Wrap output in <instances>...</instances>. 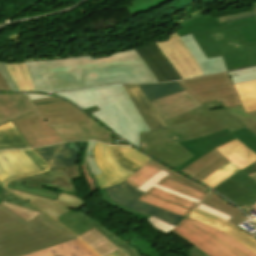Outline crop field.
Returning <instances> with one entry per match:
<instances>
[{"label":"crop field","mask_w":256,"mask_h":256,"mask_svg":"<svg viewBox=\"0 0 256 256\" xmlns=\"http://www.w3.org/2000/svg\"><path fill=\"white\" fill-rule=\"evenodd\" d=\"M35 91L70 90L111 83L157 82L134 50L109 58L90 56L61 60L25 62Z\"/></svg>","instance_id":"1"},{"label":"crop field","mask_w":256,"mask_h":256,"mask_svg":"<svg viewBox=\"0 0 256 256\" xmlns=\"http://www.w3.org/2000/svg\"><path fill=\"white\" fill-rule=\"evenodd\" d=\"M203 105L179 117L164 121L169 129L141 133L140 150L175 168L193 157L177 142L198 138L226 127L231 132L244 127L242 122L225 109L214 112L208 110L222 105L221 102L215 101Z\"/></svg>","instance_id":"2"},{"label":"crop field","mask_w":256,"mask_h":256,"mask_svg":"<svg viewBox=\"0 0 256 256\" xmlns=\"http://www.w3.org/2000/svg\"><path fill=\"white\" fill-rule=\"evenodd\" d=\"M256 25V17L220 24L212 15L184 23L179 37L193 34L207 58L222 55L227 70L256 65V42L245 44L238 27Z\"/></svg>","instance_id":"3"},{"label":"crop field","mask_w":256,"mask_h":256,"mask_svg":"<svg viewBox=\"0 0 256 256\" xmlns=\"http://www.w3.org/2000/svg\"><path fill=\"white\" fill-rule=\"evenodd\" d=\"M56 94L73 101L81 108L97 105L101 111L91 115L135 147L138 146L139 131L148 130L122 85L86 88Z\"/></svg>","instance_id":"4"},{"label":"crop field","mask_w":256,"mask_h":256,"mask_svg":"<svg viewBox=\"0 0 256 256\" xmlns=\"http://www.w3.org/2000/svg\"><path fill=\"white\" fill-rule=\"evenodd\" d=\"M73 237L43 213L28 223L0 205V256H21Z\"/></svg>","instance_id":"5"},{"label":"crop field","mask_w":256,"mask_h":256,"mask_svg":"<svg viewBox=\"0 0 256 256\" xmlns=\"http://www.w3.org/2000/svg\"><path fill=\"white\" fill-rule=\"evenodd\" d=\"M35 108L36 112L12 121L31 147L63 142L48 123L90 121V117L67 102Z\"/></svg>","instance_id":"6"},{"label":"crop field","mask_w":256,"mask_h":256,"mask_svg":"<svg viewBox=\"0 0 256 256\" xmlns=\"http://www.w3.org/2000/svg\"><path fill=\"white\" fill-rule=\"evenodd\" d=\"M171 232L210 256H256V253L221 230L186 217Z\"/></svg>","instance_id":"7"},{"label":"crop field","mask_w":256,"mask_h":256,"mask_svg":"<svg viewBox=\"0 0 256 256\" xmlns=\"http://www.w3.org/2000/svg\"><path fill=\"white\" fill-rule=\"evenodd\" d=\"M179 83L201 103L218 100L222 101L225 108L241 104L228 73L203 76Z\"/></svg>","instance_id":"8"},{"label":"crop field","mask_w":256,"mask_h":256,"mask_svg":"<svg viewBox=\"0 0 256 256\" xmlns=\"http://www.w3.org/2000/svg\"><path fill=\"white\" fill-rule=\"evenodd\" d=\"M80 177L82 175L78 166H74L13 180L8 182L6 187L57 200L61 193L25 186L23 183L39 184L77 195L78 191L73 186L72 179Z\"/></svg>","instance_id":"9"},{"label":"crop field","mask_w":256,"mask_h":256,"mask_svg":"<svg viewBox=\"0 0 256 256\" xmlns=\"http://www.w3.org/2000/svg\"><path fill=\"white\" fill-rule=\"evenodd\" d=\"M236 137L256 153V137L246 127L233 133H231L229 129L226 128L199 139L179 142V144L182 145L194 157L178 166L176 169L180 171L183 170L188 165L209 152L211 149L225 144Z\"/></svg>","instance_id":"10"},{"label":"crop field","mask_w":256,"mask_h":256,"mask_svg":"<svg viewBox=\"0 0 256 256\" xmlns=\"http://www.w3.org/2000/svg\"><path fill=\"white\" fill-rule=\"evenodd\" d=\"M240 207L256 209V162L214 187Z\"/></svg>","instance_id":"11"},{"label":"crop field","mask_w":256,"mask_h":256,"mask_svg":"<svg viewBox=\"0 0 256 256\" xmlns=\"http://www.w3.org/2000/svg\"><path fill=\"white\" fill-rule=\"evenodd\" d=\"M132 186V185H131ZM126 181L106 189L114 200L138 211L151 214L165 222L177 225L184 217L137 200L143 193L131 187Z\"/></svg>","instance_id":"12"},{"label":"crop field","mask_w":256,"mask_h":256,"mask_svg":"<svg viewBox=\"0 0 256 256\" xmlns=\"http://www.w3.org/2000/svg\"><path fill=\"white\" fill-rule=\"evenodd\" d=\"M55 220L60 222L62 225L70 229L78 236L94 227L129 256L140 255L133 247L124 242L122 239H120L117 235L104 227L98 221L77 210L71 209L69 212L62 214L59 218Z\"/></svg>","instance_id":"13"},{"label":"crop field","mask_w":256,"mask_h":256,"mask_svg":"<svg viewBox=\"0 0 256 256\" xmlns=\"http://www.w3.org/2000/svg\"><path fill=\"white\" fill-rule=\"evenodd\" d=\"M93 155L98 167L103 172L94 176L100 189L115 185L133 175L118 164L114 157L113 146L96 142Z\"/></svg>","instance_id":"14"},{"label":"crop field","mask_w":256,"mask_h":256,"mask_svg":"<svg viewBox=\"0 0 256 256\" xmlns=\"http://www.w3.org/2000/svg\"><path fill=\"white\" fill-rule=\"evenodd\" d=\"M156 44L173 64L182 79L203 75L197 62L176 33L171 35L168 41L156 42Z\"/></svg>","instance_id":"15"},{"label":"crop field","mask_w":256,"mask_h":256,"mask_svg":"<svg viewBox=\"0 0 256 256\" xmlns=\"http://www.w3.org/2000/svg\"><path fill=\"white\" fill-rule=\"evenodd\" d=\"M66 141L93 139L111 144V135L106 129L91 119V122L50 124Z\"/></svg>","instance_id":"16"},{"label":"crop field","mask_w":256,"mask_h":256,"mask_svg":"<svg viewBox=\"0 0 256 256\" xmlns=\"http://www.w3.org/2000/svg\"><path fill=\"white\" fill-rule=\"evenodd\" d=\"M39 172L21 150L0 151V180L3 184L10 179Z\"/></svg>","instance_id":"17"},{"label":"crop field","mask_w":256,"mask_h":256,"mask_svg":"<svg viewBox=\"0 0 256 256\" xmlns=\"http://www.w3.org/2000/svg\"><path fill=\"white\" fill-rule=\"evenodd\" d=\"M150 103L163 121L202 106L198 100L186 91Z\"/></svg>","instance_id":"18"},{"label":"crop field","mask_w":256,"mask_h":256,"mask_svg":"<svg viewBox=\"0 0 256 256\" xmlns=\"http://www.w3.org/2000/svg\"><path fill=\"white\" fill-rule=\"evenodd\" d=\"M11 191L17 196L33 203L54 219L59 217L62 213L70 210L71 208L79 210V208L84 203L83 200L77 198V196L68 193L61 194L58 200L54 201L27 193H22L14 190Z\"/></svg>","instance_id":"19"},{"label":"crop field","mask_w":256,"mask_h":256,"mask_svg":"<svg viewBox=\"0 0 256 256\" xmlns=\"http://www.w3.org/2000/svg\"><path fill=\"white\" fill-rule=\"evenodd\" d=\"M150 67L158 82L180 80L172 64L163 55L155 43L135 50Z\"/></svg>","instance_id":"20"},{"label":"crop field","mask_w":256,"mask_h":256,"mask_svg":"<svg viewBox=\"0 0 256 256\" xmlns=\"http://www.w3.org/2000/svg\"><path fill=\"white\" fill-rule=\"evenodd\" d=\"M33 111L24 93L0 94V125Z\"/></svg>","instance_id":"21"},{"label":"crop field","mask_w":256,"mask_h":256,"mask_svg":"<svg viewBox=\"0 0 256 256\" xmlns=\"http://www.w3.org/2000/svg\"><path fill=\"white\" fill-rule=\"evenodd\" d=\"M33 150L45 160L50 170L76 165L78 156L81 155L70 149L66 143Z\"/></svg>","instance_id":"22"},{"label":"crop field","mask_w":256,"mask_h":256,"mask_svg":"<svg viewBox=\"0 0 256 256\" xmlns=\"http://www.w3.org/2000/svg\"><path fill=\"white\" fill-rule=\"evenodd\" d=\"M128 96L142 117L149 130L165 128L166 125L137 88L136 85H123Z\"/></svg>","instance_id":"23"},{"label":"crop field","mask_w":256,"mask_h":256,"mask_svg":"<svg viewBox=\"0 0 256 256\" xmlns=\"http://www.w3.org/2000/svg\"><path fill=\"white\" fill-rule=\"evenodd\" d=\"M24 256H99L78 237Z\"/></svg>","instance_id":"24"},{"label":"crop field","mask_w":256,"mask_h":256,"mask_svg":"<svg viewBox=\"0 0 256 256\" xmlns=\"http://www.w3.org/2000/svg\"><path fill=\"white\" fill-rule=\"evenodd\" d=\"M181 40L198 62L204 75L227 71L222 57L207 59L192 35L182 37Z\"/></svg>","instance_id":"25"},{"label":"crop field","mask_w":256,"mask_h":256,"mask_svg":"<svg viewBox=\"0 0 256 256\" xmlns=\"http://www.w3.org/2000/svg\"><path fill=\"white\" fill-rule=\"evenodd\" d=\"M2 196L4 201L2 205L28 222L38 216L40 213H42L23 199L15 196L10 191L6 190L5 188L3 190Z\"/></svg>","instance_id":"26"},{"label":"crop field","mask_w":256,"mask_h":256,"mask_svg":"<svg viewBox=\"0 0 256 256\" xmlns=\"http://www.w3.org/2000/svg\"><path fill=\"white\" fill-rule=\"evenodd\" d=\"M220 153H222L225 157L221 160L217 161L215 164H213L208 169L204 170L201 174H199L197 177L193 178L195 180H202L209 176L211 173L219 169L221 166L229 162L226 158L231 156L232 154L236 152H241L242 154L250 151L249 148H247L241 141H239L237 138L225 145H222L218 148H216Z\"/></svg>","instance_id":"27"},{"label":"crop field","mask_w":256,"mask_h":256,"mask_svg":"<svg viewBox=\"0 0 256 256\" xmlns=\"http://www.w3.org/2000/svg\"><path fill=\"white\" fill-rule=\"evenodd\" d=\"M30 148L12 122L0 126V150Z\"/></svg>","instance_id":"28"},{"label":"crop field","mask_w":256,"mask_h":256,"mask_svg":"<svg viewBox=\"0 0 256 256\" xmlns=\"http://www.w3.org/2000/svg\"><path fill=\"white\" fill-rule=\"evenodd\" d=\"M148 101L184 91L178 82L137 85Z\"/></svg>","instance_id":"29"},{"label":"crop field","mask_w":256,"mask_h":256,"mask_svg":"<svg viewBox=\"0 0 256 256\" xmlns=\"http://www.w3.org/2000/svg\"><path fill=\"white\" fill-rule=\"evenodd\" d=\"M203 203L233 216L234 218L228 222L232 223L235 226L247 220V218L239 210H237L229 201L225 200L224 198L218 196L213 192H210L207 195V197L203 200Z\"/></svg>","instance_id":"30"},{"label":"crop field","mask_w":256,"mask_h":256,"mask_svg":"<svg viewBox=\"0 0 256 256\" xmlns=\"http://www.w3.org/2000/svg\"><path fill=\"white\" fill-rule=\"evenodd\" d=\"M79 237L101 256H106L116 250H119V248H117L94 228Z\"/></svg>","instance_id":"31"},{"label":"crop field","mask_w":256,"mask_h":256,"mask_svg":"<svg viewBox=\"0 0 256 256\" xmlns=\"http://www.w3.org/2000/svg\"><path fill=\"white\" fill-rule=\"evenodd\" d=\"M192 212L231 227L232 229L226 233L256 252V240L252 239L251 237H249L248 235L243 233L241 230H239L235 226L231 225L230 223H228L216 216H213V215L203 212L201 210L195 209Z\"/></svg>","instance_id":"32"},{"label":"crop field","mask_w":256,"mask_h":256,"mask_svg":"<svg viewBox=\"0 0 256 256\" xmlns=\"http://www.w3.org/2000/svg\"><path fill=\"white\" fill-rule=\"evenodd\" d=\"M247 112L256 110V81L234 85Z\"/></svg>","instance_id":"33"},{"label":"crop field","mask_w":256,"mask_h":256,"mask_svg":"<svg viewBox=\"0 0 256 256\" xmlns=\"http://www.w3.org/2000/svg\"><path fill=\"white\" fill-rule=\"evenodd\" d=\"M222 157V154L213 149L181 172L193 178Z\"/></svg>","instance_id":"34"},{"label":"crop field","mask_w":256,"mask_h":256,"mask_svg":"<svg viewBox=\"0 0 256 256\" xmlns=\"http://www.w3.org/2000/svg\"><path fill=\"white\" fill-rule=\"evenodd\" d=\"M19 91H33L32 83L24 63L7 64Z\"/></svg>","instance_id":"35"},{"label":"crop field","mask_w":256,"mask_h":256,"mask_svg":"<svg viewBox=\"0 0 256 256\" xmlns=\"http://www.w3.org/2000/svg\"><path fill=\"white\" fill-rule=\"evenodd\" d=\"M167 174V172H165L164 170H160L159 172H157L155 175H153L151 178H149L146 182H144L142 185H140L137 189L142 191V192H146L149 188H151L152 186L156 187V188H159L161 190H164V191H167L169 193H172V194H175V195H178V196H181L183 198H186V199H189L197 204L200 203V200H197V199H194L192 197H189V196H186V195H183L181 193H178L176 191H173L171 189H168L166 187H163L161 185H158L156 184L158 181H160L161 179H163ZM188 200V201H189Z\"/></svg>","instance_id":"36"},{"label":"crop field","mask_w":256,"mask_h":256,"mask_svg":"<svg viewBox=\"0 0 256 256\" xmlns=\"http://www.w3.org/2000/svg\"><path fill=\"white\" fill-rule=\"evenodd\" d=\"M226 110L241 120L245 126L256 136V111L246 113L242 105L228 108Z\"/></svg>","instance_id":"37"},{"label":"crop field","mask_w":256,"mask_h":256,"mask_svg":"<svg viewBox=\"0 0 256 256\" xmlns=\"http://www.w3.org/2000/svg\"><path fill=\"white\" fill-rule=\"evenodd\" d=\"M139 200H142L144 202H147L152 205L158 206L160 208L166 209L168 211L174 212L176 214L182 215L184 217L190 212V210H188V209L182 208V207L172 204L170 202H167L162 199L152 197V196H149L146 194H144L142 197H140Z\"/></svg>","instance_id":"38"},{"label":"crop field","mask_w":256,"mask_h":256,"mask_svg":"<svg viewBox=\"0 0 256 256\" xmlns=\"http://www.w3.org/2000/svg\"><path fill=\"white\" fill-rule=\"evenodd\" d=\"M158 170H160V168H158L150 163H147L141 170H139L137 173H135L132 177H130L126 181L130 185H132L134 188H137L140 184H142L144 181H146L149 177H151Z\"/></svg>","instance_id":"39"},{"label":"crop field","mask_w":256,"mask_h":256,"mask_svg":"<svg viewBox=\"0 0 256 256\" xmlns=\"http://www.w3.org/2000/svg\"><path fill=\"white\" fill-rule=\"evenodd\" d=\"M147 193L155 195V196L160 197V198H163L165 200H168L170 202H173L175 204H178V205L183 206L185 208H188L190 210H193L197 206V204H195L191 201H188V200L183 199L181 197H178V196L169 194L167 192L161 191V190L156 189L154 187H152L150 190H148Z\"/></svg>","instance_id":"40"},{"label":"crop field","mask_w":256,"mask_h":256,"mask_svg":"<svg viewBox=\"0 0 256 256\" xmlns=\"http://www.w3.org/2000/svg\"><path fill=\"white\" fill-rule=\"evenodd\" d=\"M158 184H161L163 186H166L168 188H171L173 190H176L178 192H181V193H184L186 195H189V196H192V197H195L197 199H204L206 195L200 193V192H197L189 187H186L178 182H175L167 177H165L163 180H161L160 182H158Z\"/></svg>","instance_id":"41"},{"label":"crop field","mask_w":256,"mask_h":256,"mask_svg":"<svg viewBox=\"0 0 256 256\" xmlns=\"http://www.w3.org/2000/svg\"><path fill=\"white\" fill-rule=\"evenodd\" d=\"M169 0H134L130 2L132 5L126 7L132 16L153 8L161 3ZM162 5V4H161Z\"/></svg>","instance_id":"42"},{"label":"crop field","mask_w":256,"mask_h":256,"mask_svg":"<svg viewBox=\"0 0 256 256\" xmlns=\"http://www.w3.org/2000/svg\"><path fill=\"white\" fill-rule=\"evenodd\" d=\"M87 143H88V146H87L86 152L84 154L83 162H84L85 167H86V169H87V171H88V173L91 177L93 175L101 173V171L96 166L95 161H94L93 156H92V151H93L95 141H87Z\"/></svg>","instance_id":"43"},{"label":"crop field","mask_w":256,"mask_h":256,"mask_svg":"<svg viewBox=\"0 0 256 256\" xmlns=\"http://www.w3.org/2000/svg\"><path fill=\"white\" fill-rule=\"evenodd\" d=\"M228 73L234 84L256 80V67L244 70L231 71Z\"/></svg>","instance_id":"44"},{"label":"crop field","mask_w":256,"mask_h":256,"mask_svg":"<svg viewBox=\"0 0 256 256\" xmlns=\"http://www.w3.org/2000/svg\"><path fill=\"white\" fill-rule=\"evenodd\" d=\"M235 165H237L241 170L256 161V154L252 151L242 155L239 152L234 154L233 156L227 158Z\"/></svg>","instance_id":"45"},{"label":"crop field","mask_w":256,"mask_h":256,"mask_svg":"<svg viewBox=\"0 0 256 256\" xmlns=\"http://www.w3.org/2000/svg\"><path fill=\"white\" fill-rule=\"evenodd\" d=\"M114 151H115V157L118 160L119 164L123 166L125 169L130 171L131 173L137 172L140 168L139 165L131 162L126 158V156L123 155L122 153V146H114Z\"/></svg>","instance_id":"46"},{"label":"crop field","mask_w":256,"mask_h":256,"mask_svg":"<svg viewBox=\"0 0 256 256\" xmlns=\"http://www.w3.org/2000/svg\"><path fill=\"white\" fill-rule=\"evenodd\" d=\"M123 153L127 156L128 159L139 164L142 167L147 162L152 160V159L148 158L147 156L143 155L142 153L138 152L137 150L130 148V147L123 146Z\"/></svg>","instance_id":"47"},{"label":"crop field","mask_w":256,"mask_h":256,"mask_svg":"<svg viewBox=\"0 0 256 256\" xmlns=\"http://www.w3.org/2000/svg\"><path fill=\"white\" fill-rule=\"evenodd\" d=\"M235 167H237V166H235L233 163L230 162V163L224 165L222 168H220L216 172H214L212 175H210L206 179L202 180L201 182L209 186L212 183H214L216 180H218L219 178H221L222 176H224L225 174L230 172Z\"/></svg>","instance_id":"48"},{"label":"crop field","mask_w":256,"mask_h":256,"mask_svg":"<svg viewBox=\"0 0 256 256\" xmlns=\"http://www.w3.org/2000/svg\"><path fill=\"white\" fill-rule=\"evenodd\" d=\"M99 193H100V197H101V199H102L103 201H105V202L108 203V204L115 205V206L119 207L120 209H122V210H124V211H126V212H128V213H130V214H132L133 216H135L137 213H139V214H143V215H146V216L151 217V215H147V214H144V213L135 211V210H133V209H130V208H128V207H126V206L120 204V203H117V202L113 201V200L106 194L105 190H100Z\"/></svg>","instance_id":"49"},{"label":"crop field","mask_w":256,"mask_h":256,"mask_svg":"<svg viewBox=\"0 0 256 256\" xmlns=\"http://www.w3.org/2000/svg\"><path fill=\"white\" fill-rule=\"evenodd\" d=\"M27 157L41 170V172L47 170V164L39 157L37 153L31 149L22 150Z\"/></svg>","instance_id":"50"},{"label":"crop field","mask_w":256,"mask_h":256,"mask_svg":"<svg viewBox=\"0 0 256 256\" xmlns=\"http://www.w3.org/2000/svg\"><path fill=\"white\" fill-rule=\"evenodd\" d=\"M253 9L254 10L247 11V12H242V13H238V14L220 17L219 20L221 23H223V22H228V21H233V20H238V19L254 17V16H256V7H254Z\"/></svg>","instance_id":"51"},{"label":"crop field","mask_w":256,"mask_h":256,"mask_svg":"<svg viewBox=\"0 0 256 256\" xmlns=\"http://www.w3.org/2000/svg\"><path fill=\"white\" fill-rule=\"evenodd\" d=\"M148 222H150L153 227H155V228H157V229L163 231V232L166 233V234H167L171 229H173V228L175 227V226L170 225V224H168V223H165V222H163V221H161V220H159V219H157V218H155V217H153V216L148 219Z\"/></svg>","instance_id":"52"},{"label":"crop field","mask_w":256,"mask_h":256,"mask_svg":"<svg viewBox=\"0 0 256 256\" xmlns=\"http://www.w3.org/2000/svg\"><path fill=\"white\" fill-rule=\"evenodd\" d=\"M246 43L256 41V26L239 28Z\"/></svg>","instance_id":"53"},{"label":"crop field","mask_w":256,"mask_h":256,"mask_svg":"<svg viewBox=\"0 0 256 256\" xmlns=\"http://www.w3.org/2000/svg\"><path fill=\"white\" fill-rule=\"evenodd\" d=\"M0 72L4 76L5 80L7 81L8 85L12 89V91H18L6 65L4 63H0Z\"/></svg>","instance_id":"54"},{"label":"crop field","mask_w":256,"mask_h":256,"mask_svg":"<svg viewBox=\"0 0 256 256\" xmlns=\"http://www.w3.org/2000/svg\"><path fill=\"white\" fill-rule=\"evenodd\" d=\"M150 163H152V164H154V165H156V166H158V167H160V168L166 170L167 172H169V173H171V174H173V175H176V176L182 178L184 181H186V182H188V183H190V184H192V185H194V186H196V187H198V188H200V189H202V190H204V191L207 190V188H205V187H203V186H201V185H199V184H197V183H195V182H193V181H191V180H189V179H187V178H185V177L179 175L178 173H176V172H174V171H172V170L166 168L165 166H163V165H161V164H159V163H157V162H155V161H153V160H152Z\"/></svg>","instance_id":"55"},{"label":"crop field","mask_w":256,"mask_h":256,"mask_svg":"<svg viewBox=\"0 0 256 256\" xmlns=\"http://www.w3.org/2000/svg\"><path fill=\"white\" fill-rule=\"evenodd\" d=\"M198 209H201V210H203V211H206V212H209V213H211V214H214V215H216V216H218V217H220V218H222V219H224V220H226V221H228L229 219H231V217L230 216H228V215H226V214H224V213H222V212H220V211H217V210H215V209H213V208H211V207H208V206H206V205H204V204H200L198 207H197ZM208 213V214H209ZM213 215V216H214Z\"/></svg>","instance_id":"56"},{"label":"crop field","mask_w":256,"mask_h":256,"mask_svg":"<svg viewBox=\"0 0 256 256\" xmlns=\"http://www.w3.org/2000/svg\"><path fill=\"white\" fill-rule=\"evenodd\" d=\"M63 100V99H62ZM62 100L52 97V98H46V99H40V100H34L32 101L33 105L37 104H45V103H53V102H61Z\"/></svg>","instance_id":"57"},{"label":"crop field","mask_w":256,"mask_h":256,"mask_svg":"<svg viewBox=\"0 0 256 256\" xmlns=\"http://www.w3.org/2000/svg\"><path fill=\"white\" fill-rule=\"evenodd\" d=\"M184 254H186L188 256H208L207 254H205L204 252H202L201 250H199L195 246H193L190 250H188Z\"/></svg>","instance_id":"58"},{"label":"crop field","mask_w":256,"mask_h":256,"mask_svg":"<svg viewBox=\"0 0 256 256\" xmlns=\"http://www.w3.org/2000/svg\"><path fill=\"white\" fill-rule=\"evenodd\" d=\"M188 217L193 218V219H196V220L201 221V222H204V223L209 224V225H211V226L217 227V228L223 230L224 232L227 231V230H229L228 228H225V227H222V226H220V225H217V224H215V223H213V222H210V221H207V220H204V219H201V218L192 216V215H190V214L188 215Z\"/></svg>","instance_id":"59"},{"label":"crop field","mask_w":256,"mask_h":256,"mask_svg":"<svg viewBox=\"0 0 256 256\" xmlns=\"http://www.w3.org/2000/svg\"><path fill=\"white\" fill-rule=\"evenodd\" d=\"M167 177H169V178H171V179H173V180H175V181H178V182H180V183H182V184H184V185H186V186H189V187H191V188H193V189H195V190H197V191H200V192H202V193H204V194L207 195V192H204V191H202V190H200V189H198V188H196V187H194V186H192V185H190V184H188V183L182 181V180H181L180 178H178V177H175V176H173V175H171V174H169Z\"/></svg>","instance_id":"60"},{"label":"crop field","mask_w":256,"mask_h":256,"mask_svg":"<svg viewBox=\"0 0 256 256\" xmlns=\"http://www.w3.org/2000/svg\"><path fill=\"white\" fill-rule=\"evenodd\" d=\"M0 91H11L3 76L0 74Z\"/></svg>","instance_id":"61"},{"label":"crop field","mask_w":256,"mask_h":256,"mask_svg":"<svg viewBox=\"0 0 256 256\" xmlns=\"http://www.w3.org/2000/svg\"><path fill=\"white\" fill-rule=\"evenodd\" d=\"M26 95L28 96V98L30 100L46 98V97H52V96L41 95V94H32V93H27Z\"/></svg>","instance_id":"62"},{"label":"crop field","mask_w":256,"mask_h":256,"mask_svg":"<svg viewBox=\"0 0 256 256\" xmlns=\"http://www.w3.org/2000/svg\"><path fill=\"white\" fill-rule=\"evenodd\" d=\"M240 170L238 167L236 169H234L233 171H231L230 173H228L227 175H225L224 177H222L221 179H219L218 181H216L214 184H212L210 187H214L217 184H219L221 181H223L225 178H227L228 176L232 175L233 173H235L236 171ZM226 180V179H225Z\"/></svg>","instance_id":"63"},{"label":"crop field","mask_w":256,"mask_h":256,"mask_svg":"<svg viewBox=\"0 0 256 256\" xmlns=\"http://www.w3.org/2000/svg\"><path fill=\"white\" fill-rule=\"evenodd\" d=\"M89 114L99 110L97 106L85 109Z\"/></svg>","instance_id":"64"},{"label":"crop field","mask_w":256,"mask_h":256,"mask_svg":"<svg viewBox=\"0 0 256 256\" xmlns=\"http://www.w3.org/2000/svg\"><path fill=\"white\" fill-rule=\"evenodd\" d=\"M109 256H118L116 253L112 254V255H109Z\"/></svg>","instance_id":"65"},{"label":"crop field","mask_w":256,"mask_h":256,"mask_svg":"<svg viewBox=\"0 0 256 256\" xmlns=\"http://www.w3.org/2000/svg\"><path fill=\"white\" fill-rule=\"evenodd\" d=\"M4 185L2 184V182L0 181V187L2 188Z\"/></svg>","instance_id":"66"},{"label":"crop field","mask_w":256,"mask_h":256,"mask_svg":"<svg viewBox=\"0 0 256 256\" xmlns=\"http://www.w3.org/2000/svg\"><path fill=\"white\" fill-rule=\"evenodd\" d=\"M2 189L0 188V191H1ZM0 203H1V197H0Z\"/></svg>","instance_id":"67"}]
</instances>
